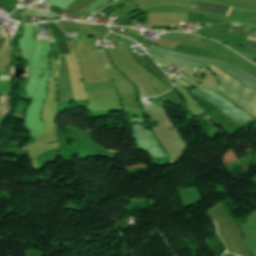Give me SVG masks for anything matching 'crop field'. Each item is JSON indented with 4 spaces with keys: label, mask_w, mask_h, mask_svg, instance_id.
<instances>
[{
    "label": "crop field",
    "mask_w": 256,
    "mask_h": 256,
    "mask_svg": "<svg viewBox=\"0 0 256 256\" xmlns=\"http://www.w3.org/2000/svg\"><path fill=\"white\" fill-rule=\"evenodd\" d=\"M57 81L59 102L71 100L66 56H61Z\"/></svg>",
    "instance_id": "3"
},
{
    "label": "crop field",
    "mask_w": 256,
    "mask_h": 256,
    "mask_svg": "<svg viewBox=\"0 0 256 256\" xmlns=\"http://www.w3.org/2000/svg\"><path fill=\"white\" fill-rule=\"evenodd\" d=\"M250 27L251 26H247V25H243V24L228 23L224 32L247 37L248 33H249V30H250ZM247 45L252 46V47H256V43L249 42V41H247ZM246 48L249 49V50L256 51L255 48H251V47H247V46H246Z\"/></svg>",
    "instance_id": "5"
},
{
    "label": "crop field",
    "mask_w": 256,
    "mask_h": 256,
    "mask_svg": "<svg viewBox=\"0 0 256 256\" xmlns=\"http://www.w3.org/2000/svg\"><path fill=\"white\" fill-rule=\"evenodd\" d=\"M190 93L218 107L221 111L227 114L234 122H236L240 127L248 122L254 121V119H252L246 113L238 109L236 106H234L229 101H227L215 92L197 87Z\"/></svg>",
    "instance_id": "2"
},
{
    "label": "crop field",
    "mask_w": 256,
    "mask_h": 256,
    "mask_svg": "<svg viewBox=\"0 0 256 256\" xmlns=\"http://www.w3.org/2000/svg\"><path fill=\"white\" fill-rule=\"evenodd\" d=\"M234 51L237 52V53H239V54H241V55H243L246 59L256 61V56H254V55L247 54V53L240 52V51H236V50H234ZM253 61H251V62L254 63V64H256V62H253Z\"/></svg>",
    "instance_id": "8"
},
{
    "label": "crop field",
    "mask_w": 256,
    "mask_h": 256,
    "mask_svg": "<svg viewBox=\"0 0 256 256\" xmlns=\"http://www.w3.org/2000/svg\"><path fill=\"white\" fill-rule=\"evenodd\" d=\"M190 9L202 11V12H206V13H211V14L226 15V16H229L232 11V8H229V7H226L223 5L212 4V3H203V2H194V1H190Z\"/></svg>",
    "instance_id": "4"
},
{
    "label": "crop field",
    "mask_w": 256,
    "mask_h": 256,
    "mask_svg": "<svg viewBox=\"0 0 256 256\" xmlns=\"http://www.w3.org/2000/svg\"><path fill=\"white\" fill-rule=\"evenodd\" d=\"M96 52H97L98 58H99L101 64L103 65L104 69L114 67L106 52H101V51H96Z\"/></svg>",
    "instance_id": "7"
},
{
    "label": "crop field",
    "mask_w": 256,
    "mask_h": 256,
    "mask_svg": "<svg viewBox=\"0 0 256 256\" xmlns=\"http://www.w3.org/2000/svg\"><path fill=\"white\" fill-rule=\"evenodd\" d=\"M4 41L0 39V48L3 45Z\"/></svg>",
    "instance_id": "10"
},
{
    "label": "crop field",
    "mask_w": 256,
    "mask_h": 256,
    "mask_svg": "<svg viewBox=\"0 0 256 256\" xmlns=\"http://www.w3.org/2000/svg\"><path fill=\"white\" fill-rule=\"evenodd\" d=\"M175 77H176V76H175ZM175 77H174L172 80L176 81L177 84H179V85H181V86H188L187 84H185L186 82L184 83V82L180 81L181 79L179 80V79H177V78H175Z\"/></svg>",
    "instance_id": "9"
},
{
    "label": "crop field",
    "mask_w": 256,
    "mask_h": 256,
    "mask_svg": "<svg viewBox=\"0 0 256 256\" xmlns=\"http://www.w3.org/2000/svg\"><path fill=\"white\" fill-rule=\"evenodd\" d=\"M208 68L220 81L216 90L227 94L231 99L256 116V91L241 87L240 83L210 64Z\"/></svg>",
    "instance_id": "1"
},
{
    "label": "crop field",
    "mask_w": 256,
    "mask_h": 256,
    "mask_svg": "<svg viewBox=\"0 0 256 256\" xmlns=\"http://www.w3.org/2000/svg\"><path fill=\"white\" fill-rule=\"evenodd\" d=\"M135 56L137 57V59L144 65L146 66L148 69H150L152 72H154L155 74L159 75L162 79H164L167 83H169L170 85H172L171 81L169 80V78H167L166 76H164L162 73H160L154 66H152L150 63H148L146 60L143 59V57H140L138 55L137 52H134Z\"/></svg>",
    "instance_id": "6"
}]
</instances>
